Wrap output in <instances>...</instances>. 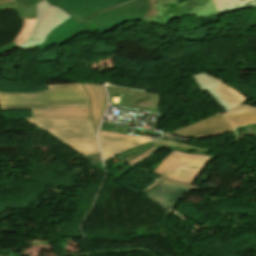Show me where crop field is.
Wrapping results in <instances>:
<instances>
[{
  "instance_id": "crop-field-5",
  "label": "crop field",
  "mask_w": 256,
  "mask_h": 256,
  "mask_svg": "<svg viewBox=\"0 0 256 256\" xmlns=\"http://www.w3.org/2000/svg\"><path fill=\"white\" fill-rule=\"evenodd\" d=\"M57 139H96L91 120L26 119Z\"/></svg>"
},
{
  "instance_id": "crop-field-1",
  "label": "crop field",
  "mask_w": 256,
  "mask_h": 256,
  "mask_svg": "<svg viewBox=\"0 0 256 256\" xmlns=\"http://www.w3.org/2000/svg\"><path fill=\"white\" fill-rule=\"evenodd\" d=\"M36 94L0 93L1 110L49 109V106H89L81 84L53 85Z\"/></svg>"
},
{
  "instance_id": "crop-field-12",
  "label": "crop field",
  "mask_w": 256,
  "mask_h": 256,
  "mask_svg": "<svg viewBox=\"0 0 256 256\" xmlns=\"http://www.w3.org/2000/svg\"><path fill=\"white\" fill-rule=\"evenodd\" d=\"M42 0H16V6L25 24L19 36L14 40L16 46L25 43L29 34L33 30L36 21V4Z\"/></svg>"
},
{
  "instance_id": "crop-field-8",
  "label": "crop field",
  "mask_w": 256,
  "mask_h": 256,
  "mask_svg": "<svg viewBox=\"0 0 256 256\" xmlns=\"http://www.w3.org/2000/svg\"><path fill=\"white\" fill-rule=\"evenodd\" d=\"M99 140L104 160L118 153L127 151L129 149L152 141V139H145L103 131L99 132Z\"/></svg>"
},
{
  "instance_id": "crop-field-3",
  "label": "crop field",
  "mask_w": 256,
  "mask_h": 256,
  "mask_svg": "<svg viewBox=\"0 0 256 256\" xmlns=\"http://www.w3.org/2000/svg\"><path fill=\"white\" fill-rule=\"evenodd\" d=\"M210 159V156L189 154L174 150L158 165L154 172L191 184Z\"/></svg>"
},
{
  "instance_id": "crop-field-22",
  "label": "crop field",
  "mask_w": 256,
  "mask_h": 256,
  "mask_svg": "<svg viewBox=\"0 0 256 256\" xmlns=\"http://www.w3.org/2000/svg\"><path fill=\"white\" fill-rule=\"evenodd\" d=\"M11 1H13V0H0V4L6 3V2H11Z\"/></svg>"
},
{
  "instance_id": "crop-field-10",
  "label": "crop field",
  "mask_w": 256,
  "mask_h": 256,
  "mask_svg": "<svg viewBox=\"0 0 256 256\" xmlns=\"http://www.w3.org/2000/svg\"><path fill=\"white\" fill-rule=\"evenodd\" d=\"M228 127H231V125L226 120V118L223 117L222 115H217L215 117L209 118L207 120L201 121L199 123L193 124L183 129L177 130L173 133H177L188 138H194V137L197 138L205 134L226 129Z\"/></svg>"
},
{
  "instance_id": "crop-field-21",
  "label": "crop field",
  "mask_w": 256,
  "mask_h": 256,
  "mask_svg": "<svg viewBox=\"0 0 256 256\" xmlns=\"http://www.w3.org/2000/svg\"><path fill=\"white\" fill-rule=\"evenodd\" d=\"M232 132H234L233 127L229 128V129H226V130H223V131H219V132H216V133H212V134H209V135L199 137L198 139L204 138V137L216 136V135H220V134L232 133Z\"/></svg>"
},
{
  "instance_id": "crop-field-11",
  "label": "crop field",
  "mask_w": 256,
  "mask_h": 256,
  "mask_svg": "<svg viewBox=\"0 0 256 256\" xmlns=\"http://www.w3.org/2000/svg\"><path fill=\"white\" fill-rule=\"evenodd\" d=\"M32 118L91 119L89 107H50V110H32Z\"/></svg>"
},
{
  "instance_id": "crop-field-24",
  "label": "crop field",
  "mask_w": 256,
  "mask_h": 256,
  "mask_svg": "<svg viewBox=\"0 0 256 256\" xmlns=\"http://www.w3.org/2000/svg\"><path fill=\"white\" fill-rule=\"evenodd\" d=\"M256 1V0H255Z\"/></svg>"
},
{
  "instance_id": "crop-field-9",
  "label": "crop field",
  "mask_w": 256,
  "mask_h": 256,
  "mask_svg": "<svg viewBox=\"0 0 256 256\" xmlns=\"http://www.w3.org/2000/svg\"><path fill=\"white\" fill-rule=\"evenodd\" d=\"M196 188L167 179L145 195L172 210L184 192Z\"/></svg>"
},
{
  "instance_id": "crop-field-20",
  "label": "crop field",
  "mask_w": 256,
  "mask_h": 256,
  "mask_svg": "<svg viewBox=\"0 0 256 256\" xmlns=\"http://www.w3.org/2000/svg\"><path fill=\"white\" fill-rule=\"evenodd\" d=\"M150 2V9L144 19V23H148L158 12H152V9H153V1L152 0H149Z\"/></svg>"
},
{
  "instance_id": "crop-field-19",
  "label": "crop field",
  "mask_w": 256,
  "mask_h": 256,
  "mask_svg": "<svg viewBox=\"0 0 256 256\" xmlns=\"http://www.w3.org/2000/svg\"><path fill=\"white\" fill-rule=\"evenodd\" d=\"M156 147H157V146L153 147V148L150 149L149 151L145 152L144 154H142V155H140V156H138V157H136V158H134V159H132V160H130V161H128V162H129V163H132V164H135V163L141 161L142 159L147 158V157L156 149Z\"/></svg>"
},
{
  "instance_id": "crop-field-4",
  "label": "crop field",
  "mask_w": 256,
  "mask_h": 256,
  "mask_svg": "<svg viewBox=\"0 0 256 256\" xmlns=\"http://www.w3.org/2000/svg\"><path fill=\"white\" fill-rule=\"evenodd\" d=\"M147 10V0H136L114 7L94 17L102 36L126 23L141 21Z\"/></svg>"
},
{
  "instance_id": "crop-field-15",
  "label": "crop field",
  "mask_w": 256,
  "mask_h": 256,
  "mask_svg": "<svg viewBox=\"0 0 256 256\" xmlns=\"http://www.w3.org/2000/svg\"><path fill=\"white\" fill-rule=\"evenodd\" d=\"M202 91H205L206 89L210 92V94L216 99V101L222 106V108L225 111L230 110L226 103L221 99V97L216 93V91L213 89L214 87L220 85L219 83L215 82L206 72L194 75L193 76Z\"/></svg>"
},
{
  "instance_id": "crop-field-23",
  "label": "crop field",
  "mask_w": 256,
  "mask_h": 256,
  "mask_svg": "<svg viewBox=\"0 0 256 256\" xmlns=\"http://www.w3.org/2000/svg\"><path fill=\"white\" fill-rule=\"evenodd\" d=\"M156 2H160V1H170V0H155Z\"/></svg>"
},
{
  "instance_id": "crop-field-7",
  "label": "crop field",
  "mask_w": 256,
  "mask_h": 256,
  "mask_svg": "<svg viewBox=\"0 0 256 256\" xmlns=\"http://www.w3.org/2000/svg\"><path fill=\"white\" fill-rule=\"evenodd\" d=\"M61 8L79 23L92 15L130 0H46Z\"/></svg>"
},
{
  "instance_id": "crop-field-17",
  "label": "crop field",
  "mask_w": 256,
  "mask_h": 256,
  "mask_svg": "<svg viewBox=\"0 0 256 256\" xmlns=\"http://www.w3.org/2000/svg\"><path fill=\"white\" fill-rule=\"evenodd\" d=\"M217 93L222 97V99L228 104L229 107L234 108L242 104L238 99H236L228 90H226L222 85L215 88Z\"/></svg>"
},
{
  "instance_id": "crop-field-6",
  "label": "crop field",
  "mask_w": 256,
  "mask_h": 256,
  "mask_svg": "<svg viewBox=\"0 0 256 256\" xmlns=\"http://www.w3.org/2000/svg\"><path fill=\"white\" fill-rule=\"evenodd\" d=\"M71 18L61 9L51 6L45 0L37 4L36 27L30 34L24 45L18 46L22 49L42 44L49 33L59 24ZM58 27V26H57Z\"/></svg>"
},
{
  "instance_id": "crop-field-14",
  "label": "crop field",
  "mask_w": 256,
  "mask_h": 256,
  "mask_svg": "<svg viewBox=\"0 0 256 256\" xmlns=\"http://www.w3.org/2000/svg\"><path fill=\"white\" fill-rule=\"evenodd\" d=\"M224 115L234 127L256 123V108L248 105H241Z\"/></svg>"
},
{
  "instance_id": "crop-field-16",
  "label": "crop field",
  "mask_w": 256,
  "mask_h": 256,
  "mask_svg": "<svg viewBox=\"0 0 256 256\" xmlns=\"http://www.w3.org/2000/svg\"><path fill=\"white\" fill-rule=\"evenodd\" d=\"M79 151L83 156L99 153L96 140H60Z\"/></svg>"
},
{
  "instance_id": "crop-field-13",
  "label": "crop field",
  "mask_w": 256,
  "mask_h": 256,
  "mask_svg": "<svg viewBox=\"0 0 256 256\" xmlns=\"http://www.w3.org/2000/svg\"><path fill=\"white\" fill-rule=\"evenodd\" d=\"M83 85L89 95L91 113L94 120L95 130H97L107 102L106 92L103 86L90 84Z\"/></svg>"
},
{
  "instance_id": "crop-field-2",
  "label": "crop field",
  "mask_w": 256,
  "mask_h": 256,
  "mask_svg": "<svg viewBox=\"0 0 256 256\" xmlns=\"http://www.w3.org/2000/svg\"><path fill=\"white\" fill-rule=\"evenodd\" d=\"M154 1V0H153ZM154 2L153 11H160L149 23L166 27L172 20L193 14L196 18L226 14L254 8L253 0H187Z\"/></svg>"
},
{
  "instance_id": "crop-field-18",
  "label": "crop field",
  "mask_w": 256,
  "mask_h": 256,
  "mask_svg": "<svg viewBox=\"0 0 256 256\" xmlns=\"http://www.w3.org/2000/svg\"><path fill=\"white\" fill-rule=\"evenodd\" d=\"M214 80L217 82L221 83L226 89H228L236 98H238L242 103L249 100L247 97H245L243 94H241L239 91H237L235 88H233L230 85H226L222 82H220L218 79L215 77L211 76Z\"/></svg>"
}]
</instances>
